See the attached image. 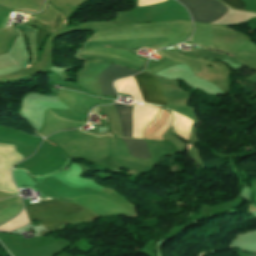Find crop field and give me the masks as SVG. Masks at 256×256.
Listing matches in <instances>:
<instances>
[{
    "instance_id": "1",
    "label": "crop field",
    "mask_w": 256,
    "mask_h": 256,
    "mask_svg": "<svg viewBox=\"0 0 256 256\" xmlns=\"http://www.w3.org/2000/svg\"><path fill=\"white\" fill-rule=\"evenodd\" d=\"M25 208L29 221L37 220L47 230H63L67 223L80 220H92L98 217L88 209L68 201H40Z\"/></svg>"
},
{
    "instance_id": "2",
    "label": "crop field",
    "mask_w": 256,
    "mask_h": 256,
    "mask_svg": "<svg viewBox=\"0 0 256 256\" xmlns=\"http://www.w3.org/2000/svg\"><path fill=\"white\" fill-rule=\"evenodd\" d=\"M189 10L194 21L211 23L222 15L228 9L217 0H179Z\"/></svg>"
},
{
    "instance_id": "3",
    "label": "crop field",
    "mask_w": 256,
    "mask_h": 256,
    "mask_svg": "<svg viewBox=\"0 0 256 256\" xmlns=\"http://www.w3.org/2000/svg\"><path fill=\"white\" fill-rule=\"evenodd\" d=\"M134 78L147 103L167 105L155 76L139 73L134 75Z\"/></svg>"
},
{
    "instance_id": "4",
    "label": "crop field",
    "mask_w": 256,
    "mask_h": 256,
    "mask_svg": "<svg viewBox=\"0 0 256 256\" xmlns=\"http://www.w3.org/2000/svg\"><path fill=\"white\" fill-rule=\"evenodd\" d=\"M137 72L138 71H134L128 68L111 64L108 68L103 70L99 75V82L101 85L102 93L116 95L112 82H114L115 80L121 77L128 76Z\"/></svg>"
},
{
    "instance_id": "5",
    "label": "crop field",
    "mask_w": 256,
    "mask_h": 256,
    "mask_svg": "<svg viewBox=\"0 0 256 256\" xmlns=\"http://www.w3.org/2000/svg\"><path fill=\"white\" fill-rule=\"evenodd\" d=\"M130 154L137 158H150L147 144L144 140H131L122 138Z\"/></svg>"
},
{
    "instance_id": "6",
    "label": "crop field",
    "mask_w": 256,
    "mask_h": 256,
    "mask_svg": "<svg viewBox=\"0 0 256 256\" xmlns=\"http://www.w3.org/2000/svg\"><path fill=\"white\" fill-rule=\"evenodd\" d=\"M122 127L123 135L129 137L133 105L115 104Z\"/></svg>"
},
{
    "instance_id": "7",
    "label": "crop field",
    "mask_w": 256,
    "mask_h": 256,
    "mask_svg": "<svg viewBox=\"0 0 256 256\" xmlns=\"http://www.w3.org/2000/svg\"><path fill=\"white\" fill-rule=\"evenodd\" d=\"M17 28H19L20 30H22L28 40H29V44H30V48H31V51H32V54H33V58H32V62L31 63H34L35 62V37H36V33H37V30L34 29V28H31V27H28L26 25H20V26H15Z\"/></svg>"
},
{
    "instance_id": "8",
    "label": "crop field",
    "mask_w": 256,
    "mask_h": 256,
    "mask_svg": "<svg viewBox=\"0 0 256 256\" xmlns=\"http://www.w3.org/2000/svg\"><path fill=\"white\" fill-rule=\"evenodd\" d=\"M232 7L244 9L245 5L249 0H222Z\"/></svg>"
},
{
    "instance_id": "9",
    "label": "crop field",
    "mask_w": 256,
    "mask_h": 256,
    "mask_svg": "<svg viewBox=\"0 0 256 256\" xmlns=\"http://www.w3.org/2000/svg\"><path fill=\"white\" fill-rule=\"evenodd\" d=\"M7 21H8V19H6V18L3 19L2 24H1V26H0V29L5 28V26H6V24H7Z\"/></svg>"
},
{
    "instance_id": "10",
    "label": "crop field",
    "mask_w": 256,
    "mask_h": 256,
    "mask_svg": "<svg viewBox=\"0 0 256 256\" xmlns=\"http://www.w3.org/2000/svg\"><path fill=\"white\" fill-rule=\"evenodd\" d=\"M167 46H168L167 44H166V45L159 46V49L164 48V47H167Z\"/></svg>"
},
{
    "instance_id": "11",
    "label": "crop field",
    "mask_w": 256,
    "mask_h": 256,
    "mask_svg": "<svg viewBox=\"0 0 256 256\" xmlns=\"http://www.w3.org/2000/svg\"><path fill=\"white\" fill-rule=\"evenodd\" d=\"M98 109H100V108H98ZM98 109H96L95 111H97ZM95 111H93V112H95ZM93 112H92V113H93Z\"/></svg>"
},
{
    "instance_id": "12",
    "label": "crop field",
    "mask_w": 256,
    "mask_h": 256,
    "mask_svg": "<svg viewBox=\"0 0 256 256\" xmlns=\"http://www.w3.org/2000/svg\"><path fill=\"white\" fill-rule=\"evenodd\" d=\"M250 256H256V255H250Z\"/></svg>"
},
{
    "instance_id": "13",
    "label": "crop field",
    "mask_w": 256,
    "mask_h": 256,
    "mask_svg": "<svg viewBox=\"0 0 256 256\" xmlns=\"http://www.w3.org/2000/svg\"><path fill=\"white\" fill-rule=\"evenodd\" d=\"M191 39H189V41H190Z\"/></svg>"
}]
</instances>
